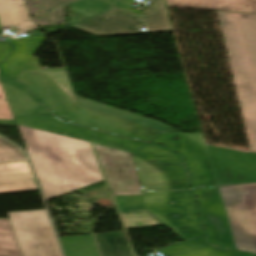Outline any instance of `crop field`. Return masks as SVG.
<instances>
[{"instance_id":"8a807250","label":"crop field","mask_w":256,"mask_h":256,"mask_svg":"<svg viewBox=\"0 0 256 256\" xmlns=\"http://www.w3.org/2000/svg\"><path fill=\"white\" fill-rule=\"evenodd\" d=\"M15 119L46 200L104 180L84 128L54 116Z\"/></svg>"},{"instance_id":"ac0d7876","label":"crop field","mask_w":256,"mask_h":256,"mask_svg":"<svg viewBox=\"0 0 256 256\" xmlns=\"http://www.w3.org/2000/svg\"><path fill=\"white\" fill-rule=\"evenodd\" d=\"M18 79L55 114L70 122L147 142L162 133V131L78 105L66 69L42 70L35 56Z\"/></svg>"},{"instance_id":"34b2d1b8","label":"crop field","mask_w":256,"mask_h":256,"mask_svg":"<svg viewBox=\"0 0 256 256\" xmlns=\"http://www.w3.org/2000/svg\"><path fill=\"white\" fill-rule=\"evenodd\" d=\"M251 151H256V15L218 11Z\"/></svg>"},{"instance_id":"412701ff","label":"crop field","mask_w":256,"mask_h":256,"mask_svg":"<svg viewBox=\"0 0 256 256\" xmlns=\"http://www.w3.org/2000/svg\"><path fill=\"white\" fill-rule=\"evenodd\" d=\"M144 201L184 240L203 235L191 191H145Z\"/></svg>"},{"instance_id":"f4fd0767","label":"crop field","mask_w":256,"mask_h":256,"mask_svg":"<svg viewBox=\"0 0 256 256\" xmlns=\"http://www.w3.org/2000/svg\"><path fill=\"white\" fill-rule=\"evenodd\" d=\"M133 158L142 189H189L182 161L171 151L146 144Z\"/></svg>"},{"instance_id":"dd49c442","label":"crop field","mask_w":256,"mask_h":256,"mask_svg":"<svg viewBox=\"0 0 256 256\" xmlns=\"http://www.w3.org/2000/svg\"><path fill=\"white\" fill-rule=\"evenodd\" d=\"M220 189L236 248L256 253V183Z\"/></svg>"},{"instance_id":"e52e79f7","label":"crop field","mask_w":256,"mask_h":256,"mask_svg":"<svg viewBox=\"0 0 256 256\" xmlns=\"http://www.w3.org/2000/svg\"><path fill=\"white\" fill-rule=\"evenodd\" d=\"M8 214L23 256H62L45 210Z\"/></svg>"},{"instance_id":"d8731c3e","label":"crop field","mask_w":256,"mask_h":256,"mask_svg":"<svg viewBox=\"0 0 256 256\" xmlns=\"http://www.w3.org/2000/svg\"><path fill=\"white\" fill-rule=\"evenodd\" d=\"M151 142L168 146L186 158L194 187L218 185L203 135L163 132Z\"/></svg>"},{"instance_id":"5a996713","label":"crop field","mask_w":256,"mask_h":256,"mask_svg":"<svg viewBox=\"0 0 256 256\" xmlns=\"http://www.w3.org/2000/svg\"><path fill=\"white\" fill-rule=\"evenodd\" d=\"M207 147L219 185L256 181V152Z\"/></svg>"},{"instance_id":"3316defc","label":"crop field","mask_w":256,"mask_h":256,"mask_svg":"<svg viewBox=\"0 0 256 256\" xmlns=\"http://www.w3.org/2000/svg\"><path fill=\"white\" fill-rule=\"evenodd\" d=\"M209 240L212 244L235 248L220 189L196 190Z\"/></svg>"},{"instance_id":"28ad6ade","label":"crop field","mask_w":256,"mask_h":256,"mask_svg":"<svg viewBox=\"0 0 256 256\" xmlns=\"http://www.w3.org/2000/svg\"><path fill=\"white\" fill-rule=\"evenodd\" d=\"M72 27L96 36H108L141 33V27L146 25L143 16L116 6L102 17L79 22Z\"/></svg>"},{"instance_id":"d1516ede","label":"crop field","mask_w":256,"mask_h":256,"mask_svg":"<svg viewBox=\"0 0 256 256\" xmlns=\"http://www.w3.org/2000/svg\"><path fill=\"white\" fill-rule=\"evenodd\" d=\"M39 190L28 161L0 164V193Z\"/></svg>"},{"instance_id":"22f410ed","label":"crop field","mask_w":256,"mask_h":256,"mask_svg":"<svg viewBox=\"0 0 256 256\" xmlns=\"http://www.w3.org/2000/svg\"><path fill=\"white\" fill-rule=\"evenodd\" d=\"M115 199L126 229L165 224L144 207L143 196H115Z\"/></svg>"},{"instance_id":"cbeb9de0","label":"crop field","mask_w":256,"mask_h":256,"mask_svg":"<svg viewBox=\"0 0 256 256\" xmlns=\"http://www.w3.org/2000/svg\"><path fill=\"white\" fill-rule=\"evenodd\" d=\"M0 82L5 91L9 105L15 117L39 113L50 115V113L25 89L14 80L0 75Z\"/></svg>"},{"instance_id":"5142ce71","label":"crop field","mask_w":256,"mask_h":256,"mask_svg":"<svg viewBox=\"0 0 256 256\" xmlns=\"http://www.w3.org/2000/svg\"><path fill=\"white\" fill-rule=\"evenodd\" d=\"M44 42L43 37L22 38L11 42L15 44V52L9 59L2 63L3 70L6 74L18 78L36 52Z\"/></svg>"},{"instance_id":"d9b57169","label":"crop field","mask_w":256,"mask_h":256,"mask_svg":"<svg viewBox=\"0 0 256 256\" xmlns=\"http://www.w3.org/2000/svg\"><path fill=\"white\" fill-rule=\"evenodd\" d=\"M168 6L256 14V0H166Z\"/></svg>"},{"instance_id":"733c2abd","label":"crop field","mask_w":256,"mask_h":256,"mask_svg":"<svg viewBox=\"0 0 256 256\" xmlns=\"http://www.w3.org/2000/svg\"><path fill=\"white\" fill-rule=\"evenodd\" d=\"M2 27L15 26L21 33L38 28L30 18L24 0H0Z\"/></svg>"},{"instance_id":"4a817a6b","label":"crop field","mask_w":256,"mask_h":256,"mask_svg":"<svg viewBox=\"0 0 256 256\" xmlns=\"http://www.w3.org/2000/svg\"><path fill=\"white\" fill-rule=\"evenodd\" d=\"M95 236L102 256H132L124 232Z\"/></svg>"},{"instance_id":"bc2a9ffb","label":"crop field","mask_w":256,"mask_h":256,"mask_svg":"<svg viewBox=\"0 0 256 256\" xmlns=\"http://www.w3.org/2000/svg\"><path fill=\"white\" fill-rule=\"evenodd\" d=\"M77 98L79 100L80 105L88 107V108H92V109H95V110H98V111H101L104 113H108V114H111V115H114V116H117L120 118H124V119L130 120V121L136 122V123H140V124L152 127V128H156V129H159L162 131L166 130L169 127L165 124H162V123L152 120V119H148V118L136 115V114H132V113H129V112H126V111H123L120 109H116V108H113V107H110V106H107L104 104H100V103H97V102H94V101H91L88 99H84L81 97H77Z\"/></svg>"},{"instance_id":"214f88e0","label":"crop field","mask_w":256,"mask_h":256,"mask_svg":"<svg viewBox=\"0 0 256 256\" xmlns=\"http://www.w3.org/2000/svg\"><path fill=\"white\" fill-rule=\"evenodd\" d=\"M66 256H99L92 235L61 239Z\"/></svg>"},{"instance_id":"92a150f3","label":"crop field","mask_w":256,"mask_h":256,"mask_svg":"<svg viewBox=\"0 0 256 256\" xmlns=\"http://www.w3.org/2000/svg\"><path fill=\"white\" fill-rule=\"evenodd\" d=\"M145 13L150 32L171 31L164 0H151Z\"/></svg>"},{"instance_id":"dafd665d","label":"crop field","mask_w":256,"mask_h":256,"mask_svg":"<svg viewBox=\"0 0 256 256\" xmlns=\"http://www.w3.org/2000/svg\"><path fill=\"white\" fill-rule=\"evenodd\" d=\"M92 142L98 143L101 145H105L108 147L116 148L119 150H123L126 152L134 153L137 151L139 148H141L144 143L132 141V140H127L91 130H87Z\"/></svg>"},{"instance_id":"00972430","label":"crop field","mask_w":256,"mask_h":256,"mask_svg":"<svg viewBox=\"0 0 256 256\" xmlns=\"http://www.w3.org/2000/svg\"><path fill=\"white\" fill-rule=\"evenodd\" d=\"M0 256H22L9 219H0Z\"/></svg>"},{"instance_id":"a9b5d70f","label":"crop field","mask_w":256,"mask_h":256,"mask_svg":"<svg viewBox=\"0 0 256 256\" xmlns=\"http://www.w3.org/2000/svg\"><path fill=\"white\" fill-rule=\"evenodd\" d=\"M27 160L25 153L14 144L0 137V163Z\"/></svg>"},{"instance_id":"4177f3b9","label":"crop field","mask_w":256,"mask_h":256,"mask_svg":"<svg viewBox=\"0 0 256 256\" xmlns=\"http://www.w3.org/2000/svg\"><path fill=\"white\" fill-rule=\"evenodd\" d=\"M204 246H208V244L206 243V240L203 237V238L195 239L186 243L161 249V251L166 255L174 256V255H178V254L188 252L194 249H198Z\"/></svg>"},{"instance_id":"730fd06b","label":"crop field","mask_w":256,"mask_h":256,"mask_svg":"<svg viewBox=\"0 0 256 256\" xmlns=\"http://www.w3.org/2000/svg\"><path fill=\"white\" fill-rule=\"evenodd\" d=\"M178 256H238L236 252L208 246Z\"/></svg>"},{"instance_id":"eef30255","label":"crop field","mask_w":256,"mask_h":256,"mask_svg":"<svg viewBox=\"0 0 256 256\" xmlns=\"http://www.w3.org/2000/svg\"><path fill=\"white\" fill-rule=\"evenodd\" d=\"M0 119H14L7 101H0Z\"/></svg>"},{"instance_id":"ae1a2a85","label":"crop field","mask_w":256,"mask_h":256,"mask_svg":"<svg viewBox=\"0 0 256 256\" xmlns=\"http://www.w3.org/2000/svg\"><path fill=\"white\" fill-rule=\"evenodd\" d=\"M11 50V45L0 43V61L6 58Z\"/></svg>"},{"instance_id":"d3111659","label":"crop field","mask_w":256,"mask_h":256,"mask_svg":"<svg viewBox=\"0 0 256 256\" xmlns=\"http://www.w3.org/2000/svg\"><path fill=\"white\" fill-rule=\"evenodd\" d=\"M0 100H6V97L1 85H0Z\"/></svg>"},{"instance_id":"750c4746","label":"crop field","mask_w":256,"mask_h":256,"mask_svg":"<svg viewBox=\"0 0 256 256\" xmlns=\"http://www.w3.org/2000/svg\"><path fill=\"white\" fill-rule=\"evenodd\" d=\"M103 1H106V2H109V3L113 4V3L117 2L118 0H103Z\"/></svg>"},{"instance_id":"bd1437ed","label":"crop field","mask_w":256,"mask_h":256,"mask_svg":"<svg viewBox=\"0 0 256 256\" xmlns=\"http://www.w3.org/2000/svg\"><path fill=\"white\" fill-rule=\"evenodd\" d=\"M0 28H1V26H0Z\"/></svg>"}]
</instances>
